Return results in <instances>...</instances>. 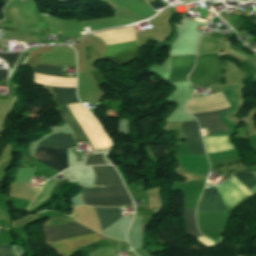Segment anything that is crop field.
<instances>
[{
    "label": "crop field",
    "mask_w": 256,
    "mask_h": 256,
    "mask_svg": "<svg viewBox=\"0 0 256 256\" xmlns=\"http://www.w3.org/2000/svg\"><path fill=\"white\" fill-rule=\"evenodd\" d=\"M222 70H229V66L228 62L220 58L218 53L198 56L189 80L194 85L214 84L221 79Z\"/></svg>",
    "instance_id": "3"
},
{
    "label": "crop field",
    "mask_w": 256,
    "mask_h": 256,
    "mask_svg": "<svg viewBox=\"0 0 256 256\" xmlns=\"http://www.w3.org/2000/svg\"><path fill=\"white\" fill-rule=\"evenodd\" d=\"M195 55L171 57V72L168 80L174 82L187 80Z\"/></svg>",
    "instance_id": "9"
},
{
    "label": "crop field",
    "mask_w": 256,
    "mask_h": 256,
    "mask_svg": "<svg viewBox=\"0 0 256 256\" xmlns=\"http://www.w3.org/2000/svg\"><path fill=\"white\" fill-rule=\"evenodd\" d=\"M83 199L90 198H102V197H113V196H124L129 195L124 186L105 188V189H84ZM87 205L94 206H119L132 204L129 196L124 197H113V198H102V199H90L84 200Z\"/></svg>",
    "instance_id": "4"
},
{
    "label": "crop field",
    "mask_w": 256,
    "mask_h": 256,
    "mask_svg": "<svg viewBox=\"0 0 256 256\" xmlns=\"http://www.w3.org/2000/svg\"><path fill=\"white\" fill-rule=\"evenodd\" d=\"M54 32V31H53ZM58 33V32H57Z\"/></svg>",
    "instance_id": "22"
},
{
    "label": "crop field",
    "mask_w": 256,
    "mask_h": 256,
    "mask_svg": "<svg viewBox=\"0 0 256 256\" xmlns=\"http://www.w3.org/2000/svg\"><path fill=\"white\" fill-rule=\"evenodd\" d=\"M183 217L185 222V234L195 238L202 236L196 228L195 208H184Z\"/></svg>",
    "instance_id": "12"
},
{
    "label": "crop field",
    "mask_w": 256,
    "mask_h": 256,
    "mask_svg": "<svg viewBox=\"0 0 256 256\" xmlns=\"http://www.w3.org/2000/svg\"><path fill=\"white\" fill-rule=\"evenodd\" d=\"M38 146L68 149L76 144L71 135H51ZM33 157L58 172L67 168L66 150L38 147Z\"/></svg>",
    "instance_id": "2"
},
{
    "label": "crop field",
    "mask_w": 256,
    "mask_h": 256,
    "mask_svg": "<svg viewBox=\"0 0 256 256\" xmlns=\"http://www.w3.org/2000/svg\"><path fill=\"white\" fill-rule=\"evenodd\" d=\"M7 78V70H0V80Z\"/></svg>",
    "instance_id": "21"
},
{
    "label": "crop field",
    "mask_w": 256,
    "mask_h": 256,
    "mask_svg": "<svg viewBox=\"0 0 256 256\" xmlns=\"http://www.w3.org/2000/svg\"><path fill=\"white\" fill-rule=\"evenodd\" d=\"M138 50L139 47L136 41L110 45L106 49L104 58H110L116 60L119 64H125L137 55Z\"/></svg>",
    "instance_id": "7"
},
{
    "label": "crop field",
    "mask_w": 256,
    "mask_h": 256,
    "mask_svg": "<svg viewBox=\"0 0 256 256\" xmlns=\"http://www.w3.org/2000/svg\"><path fill=\"white\" fill-rule=\"evenodd\" d=\"M34 69L37 74L53 77H65L61 73L60 67L36 65ZM56 98L59 104L78 102L76 98V88L56 87Z\"/></svg>",
    "instance_id": "6"
},
{
    "label": "crop field",
    "mask_w": 256,
    "mask_h": 256,
    "mask_svg": "<svg viewBox=\"0 0 256 256\" xmlns=\"http://www.w3.org/2000/svg\"><path fill=\"white\" fill-rule=\"evenodd\" d=\"M105 164L101 154L89 156L86 165Z\"/></svg>",
    "instance_id": "18"
},
{
    "label": "crop field",
    "mask_w": 256,
    "mask_h": 256,
    "mask_svg": "<svg viewBox=\"0 0 256 256\" xmlns=\"http://www.w3.org/2000/svg\"><path fill=\"white\" fill-rule=\"evenodd\" d=\"M22 52L13 54H1L0 58H3L9 65V70L16 64Z\"/></svg>",
    "instance_id": "17"
},
{
    "label": "crop field",
    "mask_w": 256,
    "mask_h": 256,
    "mask_svg": "<svg viewBox=\"0 0 256 256\" xmlns=\"http://www.w3.org/2000/svg\"><path fill=\"white\" fill-rule=\"evenodd\" d=\"M94 233V231L85 228L77 223L71 222L68 224L58 225V226H44L43 234L45 237V242L63 239L83 234ZM106 238L100 234L94 233L84 236H78L58 241L47 242L53 250L60 253L63 256H70L75 248L80 245H85L87 243Z\"/></svg>",
    "instance_id": "1"
},
{
    "label": "crop field",
    "mask_w": 256,
    "mask_h": 256,
    "mask_svg": "<svg viewBox=\"0 0 256 256\" xmlns=\"http://www.w3.org/2000/svg\"><path fill=\"white\" fill-rule=\"evenodd\" d=\"M230 108L231 107L198 112L193 113V115L197 117L201 129L208 128L210 134L222 133L224 131H228V127L221 122L217 114L224 112Z\"/></svg>",
    "instance_id": "8"
},
{
    "label": "crop field",
    "mask_w": 256,
    "mask_h": 256,
    "mask_svg": "<svg viewBox=\"0 0 256 256\" xmlns=\"http://www.w3.org/2000/svg\"><path fill=\"white\" fill-rule=\"evenodd\" d=\"M57 183L56 179H51L47 185L40 191V193L37 195V197L34 199V201L31 203L29 208L27 210L33 209L35 206H37L39 203H41L45 198H47L49 192L53 188V186Z\"/></svg>",
    "instance_id": "15"
},
{
    "label": "crop field",
    "mask_w": 256,
    "mask_h": 256,
    "mask_svg": "<svg viewBox=\"0 0 256 256\" xmlns=\"http://www.w3.org/2000/svg\"><path fill=\"white\" fill-rule=\"evenodd\" d=\"M181 125H182L183 135L186 140L201 137L196 121L184 122V123H181Z\"/></svg>",
    "instance_id": "14"
},
{
    "label": "crop field",
    "mask_w": 256,
    "mask_h": 256,
    "mask_svg": "<svg viewBox=\"0 0 256 256\" xmlns=\"http://www.w3.org/2000/svg\"><path fill=\"white\" fill-rule=\"evenodd\" d=\"M234 175L248 189L256 185V177L252 173L235 172ZM199 210H226L215 188L205 190Z\"/></svg>",
    "instance_id": "5"
},
{
    "label": "crop field",
    "mask_w": 256,
    "mask_h": 256,
    "mask_svg": "<svg viewBox=\"0 0 256 256\" xmlns=\"http://www.w3.org/2000/svg\"><path fill=\"white\" fill-rule=\"evenodd\" d=\"M60 111H61V115L62 117L65 119V121L71 126V128L73 129V131L75 132L77 138L79 140H84L87 141L91 148H93V146L91 145L90 141L88 140V138L86 137V135L84 134L83 130L81 129V127L79 126V124L77 123L76 119L74 118V116L72 115V113L70 112L69 108L67 107V105L61 106L59 107Z\"/></svg>",
    "instance_id": "11"
},
{
    "label": "crop field",
    "mask_w": 256,
    "mask_h": 256,
    "mask_svg": "<svg viewBox=\"0 0 256 256\" xmlns=\"http://www.w3.org/2000/svg\"><path fill=\"white\" fill-rule=\"evenodd\" d=\"M187 142L191 154H206L201 138L188 140Z\"/></svg>",
    "instance_id": "16"
},
{
    "label": "crop field",
    "mask_w": 256,
    "mask_h": 256,
    "mask_svg": "<svg viewBox=\"0 0 256 256\" xmlns=\"http://www.w3.org/2000/svg\"><path fill=\"white\" fill-rule=\"evenodd\" d=\"M99 217L102 221L103 229L121 218L119 208H98L96 207Z\"/></svg>",
    "instance_id": "13"
},
{
    "label": "crop field",
    "mask_w": 256,
    "mask_h": 256,
    "mask_svg": "<svg viewBox=\"0 0 256 256\" xmlns=\"http://www.w3.org/2000/svg\"><path fill=\"white\" fill-rule=\"evenodd\" d=\"M96 172L95 187H111L121 185L122 182L112 166L93 167Z\"/></svg>",
    "instance_id": "10"
},
{
    "label": "crop field",
    "mask_w": 256,
    "mask_h": 256,
    "mask_svg": "<svg viewBox=\"0 0 256 256\" xmlns=\"http://www.w3.org/2000/svg\"><path fill=\"white\" fill-rule=\"evenodd\" d=\"M150 5L155 9V8H157V7H161V8H163V7H165L166 5L165 4H163L161 1H156V2H153V3H150Z\"/></svg>",
    "instance_id": "20"
},
{
    "label": "crop field",
    "mask_w": 256,
    "mask_h": 256,
    "mask_svg": "<svg viewBox=\"0 0 256 256\" xmlns=\"http://www.w3.org/2000/svg\"><path fill=\"white\" fill-rule=\"evenodd\" d=\"M0 256H17L13 247H0Z\"/></svg>",
    "instance_id": "19"
}]
</instances>
